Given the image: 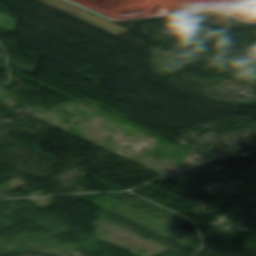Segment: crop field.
<instances>
[{
    "label": "crop field",
    "mask_w": 256,
    "mask_h": 256,
    "mask_svg": "<svg viewBox=\"0 0 256 256\" xmlns=\"http://www.w3.org/2000/svg\"><path fill=\"white\" fill-rule=\"evenodd\" d=\"M42 1H45L53 6H56L60 9H62V10H65L73 15H76V16H78L84 20H87L95 25H98L104 29H107L115 34L126 31L101 17H98L94 14H91L87 11L77 8V7L71 5L67 2H64L62 0H42Z\"/></svg>",
    "instance_id": "obj_1"
}]
</instances>
